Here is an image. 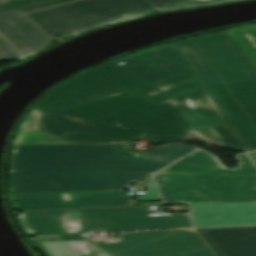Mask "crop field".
I'll use <instances>...</instances> for the list:
<instances>
[{
  "label": "crop field",
  "instance_id": "crop-field-1",
  "mask_svg": "<svg viewBox=\"0 0 256 256\" xmlns=\"http://www.w3.org/2000/svg\"><path fill=\"white\" fill-rule=\"evenodd\" d=\"M109 96V95H108ZM189 128L173 98L160 102L135 90L62 108L35 106L17 144L125 142L147 134L162 143L182 140Z\"/></svg>",
  "mask_w": 256,
  "mask_h": 256
},
{
  "label": "crop field",
  "instance_id": "crop-field-2",
  "mask_svg": "<svg viewBox=\"0 0 256 256\" xmlns=\"http://www.w3.org/2000/svg\"><path fill=\"white\" fill-rule=\"evenodd\" d=\"M193 150L176 143L134 159L117 144L13 146L9 193L115 190L112 171L155 172Z\"/></svg>",
  "mask_w": 256,
  "mask_h": 256
},
{
  "label": "crop field",
  "instance_id": "crop-field-3",
  "mask_svg": "<svg viewBox=\"0 0 256 256\" xmlns=\"http://www.w3.org/2000/svg\"><path fill=\"white\" fill-rule=\"evenodd\" d=\"M249 151L256 150V66L225 32L176 43Z\"/></svg>",
  "mask_w": 256,
  "mask_h": 256
},
{
  "label": "crop field",
  "instance_id": "crop-field-4",
  "mask_svg": "<svg viewBox=\"0 0 256 256\" xmlns=\"http://www.w3.org/2000/svg\"><path fill=\"white\" fill-rule=\"evenodd\" d=\"M235 156L240 166L230 169L197 150L157 172L154 179L168 203L254 201L256 162L250 153Z\"/></svg>",
  "mask_w": 256,
  "mask_h": 256
},
{
  "label": "crop field",
  "instance_id": "crop-field-5",
  "mask_svg": "<svg viewBox=\"0 0 256 256\" xmlns=\"http://www.w3.org/2000/svg\"><path fill=\"white\" fill-rule=\"evenodd\" d=\"M141 207L23 211L17 217L28 234L190 227L188 215L148 217Z\"/></svg>",
  "mask_w": 256,
  "mask_h": 256
},
{
  "label": "crop field",
  "instance_id": "crop-field-6",
  "mask_svg": "<svg viewBox=\"0 0 256 256\" xmlns=\"http://www.w3.org/2000/svg\"><path fill=\"white\" fill-rule=\"evenodd\" d=\"M121 242L84 241L80 234L36 236L48 256H177L207 246L193 229L120 232Z\"/></svg>",
  "mask_w": 256,
  "mask_h": 256
},
{
  "label": "crop field",
  "instance_id": "crop-field-7",
  "mask_svg": "<svg viewBox=\"0 0 256 256\" xmlns=\"http://www.w3.org/2000/svg\"><path fill=\"white\" fill-rule=\"evenodd\" d=\"M126 88L137 89L158 100L170 98L159 89L111 61L60 85L37 105L63 106Z\"/></svg>",
  "mask_w": 256,
  "mask_h": 256
},
{
  "label": "crop field",
  "instance_id": "crop-field-8",
  "mask_svg": "<svg viewBox=\"0 0 256 256\" xmlns=\"http://www.w3.org/2000/svg\"><path fill=\"white\" fill-rule=\"evenodd\" d=\"M114 61L126 62L123 67L171 97L202 86L173 44L146 49Z\"/></svg>",
  "mask_w": 256,
  "mask_h": 256
},
{
  "label": "crop field",
  "instance_id": "crop-field-9",
  "mask_svg": "<svg viewBox=\"0 0 256 256\" xmlns=\"http://www.w3.org/2000/svg\"><path fill=\"white\" fill-rule=\"evenodd\" d=\"M27 15L50 36L64 32L76 35L107 24L77 1Z\"/></svg>",
  "mask_w": 256,
  "mask_h": 256
},
{
  "label": "crop field",
  "instance_id": "crop-field-10",
  "mask_svg": "<svg viewBox=\"0 0 256 256\" xmlns=\"http://www.w3.org/2000/svg\"><path fill=\"white\" fill-rule=\"evenodd\" d=\"M21 209L127 205L124 191L17 195Z\"/></svg>",
  "mask_w": 256,
  "mask_h": 256
},
{
  "label": "crop field",
  "instance_id": "crop-field-11",
  "mask_svg": "<svg viewBox=\"0 0 256 256\" xmlns=\"http://www.w3.org/2000/svg\"><path fill=\"white\" fill-rule=\"evenodd\" d=\"M195 227L256 223V201L190 204Z\"/></svg>",
  "mask_w": 256,
  "mask_h": 256
},
{
  "label": "crop field",
  "instance_id": "crop-field-12",
  "mask_svg": "<svg viewBox=\"0 0 256 256\" xmlns=\"http://www.w3.org/2000/svg\"><path fill=\"white\" fill-rule=\"evenodd\" d=\"M0 35L20 59L53 44V40L24 14L1 19Z\"/></svg>",
  "mask_w": 256,
  "mask_h": 256
},
{
  "label": "crop field",
  "instance_id": "crop-field-13",
  "mask_svg": "<svg viewBox=\"0 0 256 256\" xmlns=\"http://www.w3.org/2000/svg\"><path fill=\"white\" fill-rule=\"evenodd\" d=\"M196 230L218 256H256V226Z\"/></svg>",
  "mask_w": 256,
  "mask_h": 256
},
{
  "label": "crop field",
  "instance_id": "crop-field-14",
  "mask_svg": "<svg viewBox=\"0 0 256 256\" xmlns=\"http://www.w3.org/2000/svg\"><path fill=\"white\" fill-rule=\"evenodd\" d=\"M190 130L228 124L204 88L174 98Z\"/></svg>",
  "mask_w": 256,
  "mask_h": 256
},
{
  "label": "crop field",
  "instance_id": "crop-field-15",
  "mask_svg": "<svg viewBox=\"0 0 256 256\" xmlns=\"http://www.w3.org/2000/svg\"><path fill=\"white\" fill-rule=\"evenodd\" d=\"M78 1L108 23L129 20L158 10L145 0Z\"/></svg>",
  "mask_w": 256,
  "mask_h": 256
},
{
  "label": "crop field",
  "instance_id": "crop-field-16",
  "mask_svg": "<svg viewBox=\"0 0 256 256\" xmlns=\"http://www.w3.org/2000/svg\"><path fill=\"white\" fill-rule=\"evenodd\" d=\"M248 57L256 64V24L226 30Z\"/></svg>",
  "mask_w": 256,
  "mask_h": 256
},
{
  "label": "crop field",
  "instance_id": "crop-field-17",
  "mask_svg": "<svg viewBox=\"0 0 256 256\" xmlns=\"http://www.w3.org/2000/svg\"><path fill=\"white\" fill-rule=\"evenodd\" d=\"M212 129L220 137L225 146L247 151V149L230 125L216 126L212 127Z\"/></svg>",
  "mask_w": 256,
  "mask_h": 256
},
{
  "label": "crop field",
  "instance_id": "crop-field-18",
  "mask_svg": "<svg viewBox=\"0 0 256 256\" xmlns=\"http://www.w3.org/2000/svg\"><path fill=\"white\" fill-rule=\"evenodd\" d=\"M152 173L113 172L116 190L129 188L134 181L141 180Z\"/></svg>",
  "mask_w": 256,
  "mask_h": 256
},
{
  "label": "crop field",
  "instance_id": "crop-field-19",
  "mask_svg": "<svg viewBox=\"0 0 256 256\" xmlns=\"http://www.w3.org/2000/svg\"><path fill=\"white\" fill-rule=\"evenodd\" d=\"M160 10H175L198 5L194 0H148Z\"/></svg>",
  "mask_w": 256,
  "mask_h": 256
},
{
  "label": "crop field",
  "instance_id": "crop-field-20",
  "mask_svg": "<svg viewBox=\"0 0 256 256\" xmlns=\"http://www.w3.org/2000/svg\"><path fill=\"white\" fill-rule=\"evenodd\" d=\"M51 0H9L0 3V14Z\"/></svg>",
  "mask_w": 256,
  "mask_h": 256
},
{
  "label": "crop field",
  "instance_id": "crop-field-21",
  "mask_svg": "<svg viewBox=\"0 0 256 256\" xmlns=\"http://www.w3.org/2000/svg\"><path fill=\"white\" fill-rule=\"evenodd\" d=\"M19 59L18 56L13 52L9 45L0 38V61L2 60H14Z\"/></svg>",
  "mask_w": 256,
  "mask_h": 256
},
{
  "label": "crop field",
  "instance_id": "crop-field-22",
  "mask_svg": "<svg viewBox=\"0 0 256 256\" xmlns=\"http://www.w3.org/2000/svg\"><path fill=\"white\" fill-rule=\"evenodd\" d=\"M145 181L148 183L147 190L149 194H136L137 200L160 199L151 178Z\"/></svg>",
  "mask_w": 256,
  "mask_h": 256
},
{
  "label": "crop field",
  "instance_id": "crop-field-23",
  "mask_svg": "<svg viewBox=\"0 0 256 256\" xmlns=\"http://www.w3.org/2000/svg\"><path fill=\"white\" fill-rule=\"evenodd\" d=\"M69 1H73V0H54V1H51V2H47V3L35 5V6H32V7L20 9V11H22L24 13V12H28V11L48 7V6H53V5H57V4H61V3L69 2Z\"/></svg>",
  "mask_w": 256,
  "mask_h": 256
},
{
  "label": "crop field",
  "instance_id": "crop-field-24",
  "mask_svg": "<svg viewBox=\"0 0 256 256\" xmlns=\"http://www.w3.org/2000/svg\"><path fill=\"white\" fill-rule=\"evenodd\" d=\"M182 256H216L209 247Z\"/></svg>",
  "mask_w": 256,
  "mask_h": 256
},
{
  "label": "crop field",
  "instance_id": "crop-field-25",
  "mask_svg": "<svg viewBox=\"0 0 256 256\" xmlns=\"http://www.w3.org/2000/svg\"><path fill=\"white\" fill-rule=\"evenodd\" d=\"M199 5H208V4H216L225 1H233V0H195Z\"/></svg>",
  "mask_w": 256,
  "mask_h": 256
},
{
  "label": "crop field",
  "instance_id": "crop-field-26",
  "mask_svg": "<svg viewBox=\"0 0 256 256\" xmlns=\"http://www.w3.org/2000/svg\"><path fill=\"white\" fill-rule=\"evenodd\" d=\"M21 13H22V12H20L19 10H17V11H13V12L1 14V15H0V19H1V18H5V17H9V16H13V15H17V14H21Z\"/></svg>",
  "mask_w": 256,
  "mask_h": 256
},
{
  "label": "crop field",
  "instance_id": "crop-field-27",
  "mask_svg": "<svg viewBox=\"0 0 256 256\" xmlns=\"http://www.w3.org/2000/svg\"><path fill=\"white\" fill-rule=\"evenodd\" d=\"M142 203V206H149V205H152V203L154 202H141Z\"/></svg>",
  "mask_w": 256,
  "mask_h": 256
},
{
  "label": "crop field",
  "instance_id": "crop-field-28",
  "mask_svg": "<svg viewBox=\"0 0 256 256\" xmlns=\"http://www.w3.org/2000/svg\"><path fill=\"white\" fill-rule=\"evenodd\" d=\"M209 130L214 133V131L209 127ZM215 134V133H214ZM216 135V134H215ZM217 136V135H216ZM218 137V136H217ZM219 138V137H218ZM220 140V139H219Z\"/></svg>",
  "mask_w": 256,
  "mask_h": 256
},
{
  "label": "crop field",
  "instance_id": "crop-field-29",
  "mask_svg": "<svg viewBox=\"0 0 256 256\" xmlns=\"http://www.w3.org/2000/svg\"><path fill=\"white\" fill-rule=\"evenodd\" d=\"M252 155H253V156L255 157V159H256V152H253Z\"/></svg>",
  "mask_w": 256,
  "mask_h": 256
},
{
  "label": "crop field",
  "instance_id": "crop-field-30",
  "mask_svg": "<svg viewBox=\"0 0 256 256\" xmlns=\"http://www.w3.org/2000/svg\"><path fill=\"white\" fill-rule=\"evenodd\" d=\"M2 1H6V0H0V2H2Z\"/></svg>",
  "mask_w": 256,
  "mask_h": 256
},
{
  "label": "crop field",
  "instance_id": "crop-field-31",
  "mask_svg": "<svg viewBox=\"0 0 256 256\" xmlns=\"http://www.w3.org/2000/svg\"><path fill=\"white\" fill-rule=\"evenodd\" d=\"M1 37V36H0Z\"/></svg>",
  "mask_w": 256,
  "mask_h": 256
}]
</instances>
